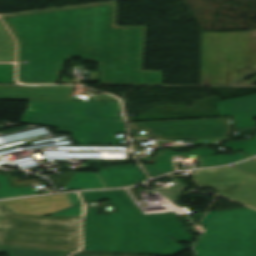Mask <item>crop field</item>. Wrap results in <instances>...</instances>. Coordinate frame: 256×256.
I'll return each mask as SVG.
<instances>
[{"instance_id":"obj_1","label":"crop field","mask_w":256,"mask_h":256,"mask_svg":"<svg viewBox=\"0 0 256 256\" xmlns=\"http://www.w3.org/2000/svg\"><path fill=\"white\" fill-rule=\"evenodd\" d=\"M116 2L1 17L19 44L18 81L57 83L64 60L100 63L103 81L162 85L141 71L146 27L116 26Z\"/></svg>"},{"instance_id":"obj_2","label":"crop field","mask_w":256,"mask_h":256,"mask_svg":"<svg viewBox=\"0 0 256 256\" xmlns=\"http://www.w3.org/2000/svg\"><path fill=\"white\" fill-rule=\"evenodd\" d=\"M80 194L85 202L108 198L119 212L96 215L95 207L87 208L83 223L85 251L173 256L185 250L176 242L191 239L173 211L143 214L124 190Z\"/></svg>"},{"instance_id":"obj_3","label":"crop field","mask_w":256,"mask_h":256,"mask_svg":"<svg viewBox=\"0 0 256 256\" xmlns=\"http://www.w3.org/2000/svg\"><path fill=\"white\" fill-rule=\"evenodd\" d=\"M119 102L30 101L21 122L58 127L57 132L73 133L78 145L122 144L125 137Z\"/></svg>"},{"instance_id":"obj_4","label":"crop field","mask_w":256,"mask_h":256,"mask_svg":"<svg viewBox=\"0 0 256 256\" xmlns=\"http://www.w3.org/2000/svg\"><path fill=\"white\" fill-rule=\"evenodd\" d=\"M206 232L197 256H256V211L251 209L207 213Z\"/></svg>"},{"instance_id":"obj_5","label":"crop field","mask_w":256,"mask_h":256,"mask_svg":"<svg viewBox=\"0 0 256 256\" xmlns=\"http://www.w3.org/2000/svg\"><path fill=\"white\" fill-rule=\"evenodd\" d=\"M131 131L147 130L151 137L165 140L228 138L232 131L231 118L209 120L129 123Z\"/></svg>"},{"instance_id":"obj_6","label":"crop field","mask_w":256,"mask_h":256,"mask_svg":"<svg viewBox=\"0 0 256 256\" xmlns=\"http://www.w3.org/2000/svg\"><path fill=\"white\" fill-rule=\"evenodd\" d=\"M0 246L75 251L80 247V240L79 234L0 229Z\"/></svg>"},{"instance_id":"obj_7","label":"crop field","mask_w":256,"mask_h":256,"mask_svg":"<svg viewBox=\"0 0 256 256\" xmlns=\"http://www.w3.org/2000/svg\"><path fill=\"white\" fill-rule=\"evenodd\" d=\"M80 217L18 216L0 204V228L79 233Z\"/></svg>"},{"instance_id":"obj_8","label":"crop field","mask_w":256,"mask_h":256,"mask_svg":"<svg viewBox=\"0 0 256 256\" xmlns=\"http://www.w3.org/2000/svg\"><path fill=\"white\" fill-rule=\"evenodd\" d=\"M74 87L0 86V100L72 101Z\"/></svg>"},{"instance_id":"obj_9","label":"crop field","mask_w":256,"mask_h":256,"mask_svg":"<svg viewBox=\"0 0 256 256\" xmlns=\"http://www.w3.org/2000/svg\"><path fill=\"white\" fill-rule=\"evenodd\" d=\"M3 206L15 214L43 216L72 206L67 194L46 197L23 198L1 201Z\"/></svg>"},{"instance_id":"obj_10","label":"crop field","mask_w":256,"mask_h":256,"mask_svg":"<svg viewBox=\"0 0 256 256\" xmlns=\"http://www.w3.org/2000/svg\"><path fill=\"white\" fill-rule=\"evenodd\" d=\"M220 116H233L236 128L256 125V94L217 103Z\"/></svg>"},{"instance_id":"obj_11","label":"crop field","mask_w":256,"mask_h":256,"mask_svg":"<svg viewBox=\"0 0 256 256\" xmlns=\"http://www.w3.org/2000/svg\"><path fill=\"white\" fill-rule=\"evenodd\" d=\"M66 189L107 188L97 173L77 172L65 185Z\"/></svg>"},{"instance_id":"obj_12","label":"crop field","mask_w":256,"mask_h":256,"mask_svg":"<svg viewBox=\"0 0 256 256\" xmlns=\"http://www.w3.org/2000/svg\"><path fill=\"white\" fill-rule=\"evenodd\" d=\"M9 256H67L72 252L41 251L39 249L1 247Z\"/></svg>"},{"instance_id":"obj_13","label":"crop field","mask_w":256,"mask_h":256,"mask_svg":"<svg viewBox=\"0 0 256 256\" xmlns=\"http://www.w3.org/2000/svg\"><path fill=\"white\" fill-rule=\"evenodd\" d=\"M10 186L6 176L0 174V198L35 194L33 187L11 188Z\"/></svg>"},{"instance_id":"obj_14","label":"crop field","mask_w":256,"mask_h":256,"mask_svg":"<svg viewBox=\"0 0 256 256\" xmlns=\"http://www.w3.org/2000/svg\"><path fill=\"white\" fill-rule=\"evenodd\" d=\"M14 42L7 32H0V62H12Z\"/></svg>"},{"instance_id":"obj_15","label":"crop field","mask_w":256,"mask_h":256,"mask_svg":"<svg viewBox=\"0 0 256 256\" xmlns=\"http://www.w3.org/2000/svg\"><path fill=\"white\" fill-rule=\"evenodd\" d=\"M0 83H14L13 65L0 64Z\"/></svg>"},{"instance_id":"obj_16","label":"crop field","mask_w":256,"mask_h":256,"mask_svg":"<svg viewBox=\"0 0 256 256\" xmlns=\"http://www.w3.org/2000/svg\"><path fill=\"white\" fill-rule=\"evenodd\" d=\"M81 215H82V212L79 209V207H71L69 209H66L64 211H61L51 216H81Z\"/></svg>"},{"instance_id":"obj_17","label":"crop field","mask_w":256,"mask_h":256,"mask_svg":"<svg viewBox=\"0 0 256 256\" xmlns=\"http://www.w3.org/2000/svg\"><path fill=\"white\" fill-rule=\"evenodd\" d=\"M68 195H69L73 205H76V204L80 203V200H79L78 196L75 193L68 194Z\"/></svg>"},{"instance_id":"obj_18","label":"crop field","mask_w":256,"mask_h":256,"mask_svg":"<svg viewBox=\"0 0 256 256\" xmlns=\"http://www.w3.org/2000/svg\"><path fill=\"white\" fill-rule=\"evenodd\" d=\"M73 256H115V255H105V254H82L76 253Z\"/></svg>"},{"instance_id":"obj_19","label":"crop field","mask_w":256,"mask_h":256,"mask_svg":"<svg viewBox=\"0 0 256 256\" xmlns=\"http://www.w3.org/2000/svg\"><path fill=\"white\" fill-rule=\"evenodd\" d=\"M1 24H0V31H6L5 28Z\"/></svg>"},{"instance_id":"obj_20","label":"crop field","mask_w":256,"mask_h":256,"mask_svg":"<svg viewBox=\"0 0 256 256\" xmlns=\"http://www.w3.org/2000/svg\"><path fill=\"white\" fill-rule=\"evenodd\" d=\"M116 256H126V255H116Z\"/></svg>"},{"instance_id":"obj_21","label":"crop field","mask_w":256,"mask_h":256,"mask_svg":"<svg viewBox=\"0 0 256 256\" xmlns=\"http://www.w3.org/2000/svg\"><path fill=\"white\" fill-rule=\"evenodd\" d=\"M256 31V30H255ZM252 35V31H250V36Z\"/></svg>"},{"instance_id":"obj_22","label":"crop field","mask_w":256,"mask_h":256,"mask_svg":"<svg viewBox=\"0 0 256 256\" xmlns=\"http://www.w3.org/2000/svg\"><path fill=\"white\" fill-rule=\"evenodd\" d=\"M3 251L0 249V253H2Z\"/></svg>"}]
</instances>
